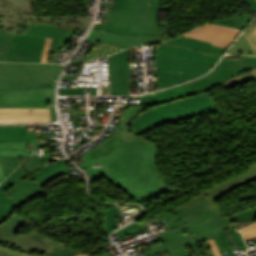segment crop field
<instances>
[{"instance_id": "8a807250", "label": "crop field", "mask_w": 256, "mask_h": 256, "mask_svg": "<svg viewBox=\"0 0 256 256\" xmlns=\"http://www.w3.org/2000/svg\"><path fill=\"white\" fill-rule=\"evenodd\" d=\"M144 109L127 108L113 135L85 153L82 157L86 161L79 164L83 169L101 164L102 167L86 170L91 182L103 176L140 203L170 190L157 166L155 144L132 135L129 126L131 119Z\"/></svg>"}, {"instance_id": "ac0d7876", "label": "crop field", "mask_w": 256, "mask_h": 256, "mask_svg": "<svg viewBox=\"0 0 256 256\" xmlns=\"http://www.w3.org/2000/svg\"><path fill=\"white\" fill-rule=\"evenodd\" d=\"M170 6L148 5V0H111L105 26L94 25L86 40L127 46L159 42V11Z\"/></svg>"}, {"instance_id": "34b2d1b8", "label": "crop field", "mask_w": 256, "mask_h": 256, "mask_svg": "<svg viewBox=\"0 0 256 256\" xmlns=\"http://www.w3.org/2000/svg\"><path fill=\"white\" fill-rule=\"evenodd\" d=\"M219 58L220 56L160 43L156 49L157 88L191 80L212 68Z\"/></svg>"}, {"instance_id": "412701ff", "label": "crop field", "mask_w": 256, "mask_h": 256, "mask_svg": "<svg viewBox=\"0 0 256 256\" xmlns=\"http://www.w3.org/2000/svg\"><path fill=\"white\" fill-rule=\"evenodd\" d=\"M218 111L208 92L150 107L133 118V134L140 135L159 125Z\"/></svg>"}, {"instance_id": "f4fd0767", "label": "crop field", "mask_w": 256, "mask_h": 256, "mask_svg": "<svg viewBox=\"0 0 256 256\" xmlns=\"http://www.w3.org/2000/svg\"><path fill=\"white\" fill-rule=\"evenodd\" d=\"M256 221V208L244 211L235 216L226 218L222 216L208 222L194 221L177 229L169 230L157 236L166 242L151 247L154 254L177 248L183 245L193 244L209 239L218 238L216 231L238 227L241 229Z\"/></svg>"}, {"instance_id": "dd49c442", "label": "crop field", "mask_w": 256, "mask_h": 256, "mask_svg": "<svg viewBox=\"0 0 256 256\" xmlns=\"http://www.w3.org/2000/svg\"><path fill=\"white\" fill-rule=\"evenodd\" d=\"M256 79V57L239 59L223 58L222 61L206 76L183 84L190 95L207 91L220 84L225 88Z\"/></svg>"}, {"instance_id": "e52e79f7", "label": "crop field", "mask_w": 256, "mask_h": 256, "mask_svg": "<svg viewBox=\"0 0 256 256\" xmlns=\"http://www.w3.org/2000/svg\"><path fill=\"white\" fill-rule=\"evenodd\" d=\"M32 0H0V31L26 34L27 23H62L88 27L86 18H34Z\"/></svg>"}, {"instance_id": "d8731c3e", "label": "crop field", "mask_w": 256, "mask_h": 256, "mask_svg": "<svg viewBox=\"0 0 256 256\" xmlns=\"http://www.w3.org/2000/svg\"><path fill=\"white\" fill-rule=\"evenodd\" d=\"M26 223H28L27 220L12 212L10 216L0 224V244L24 253H29V251L33 250H37L38 252L40 250H45L46 255L54 251L57 247L63 245L35 230L15 235V233Z\"/></svg>"}, {"instance_id": "5a996713", "label": "crop field", "mask_w": 256, "mask_h": 256, "mask_svg": "<svg viewBox=\"0 0 256 256\" xmlns=\"http://www.w3.org/2000/svg\"><path fill=\"white\" fill-rule=\"evenodd\" d=\"M62 65L0 63V82L56 80Z\"/></svg>"}, {"instance_id": "3316defc", "label": "crop field", "mask_w": 256, "mask_h": 256, "mask_svg": "<svg viewBox=\"0 0 256 256\" xmlns=\"http://www.w3.org/2000/svg\"><path fill=\"white\" fill-rule=\"evenodd\" d=\"M54 87L32 90L0 92V107H50L51 122L56 119ZM12 104V105H11Z\"/></svg>"}, {"instance_id": "28ad6ade", "label": "crop field", "mask_w": 256, "mask_h": 256, "mask_svg": "<svg viewBox=\"0 0 256 256\" xmlns=\"http://www.w3.org/2000/svg\"><path fill=\"white\" fill-rule=\"evenodd\" d=\"M45 39L13 34L5 61L41 62Z\"/></svg>"}, {"instance_id": "d1516ede", "label": "crop field", "mask_w": 256, "mask_h": 256, "mask_svg": "<svg viewBox=\"0 0 256 256\" xmlns=\"http://www.w3.org/2000/svg\"><path fill=\"white\" fill-rule=\"evenodd\" d=\"M172 211L186 223L197 219L205 222L223 215L220 208L205 197L203 193Z\"/></svg>"}, {"instance_id": "22f410ed", "label": "crop field", "mask_w": 256, "mask_h": 256, "mask_svg": "<svg viewBox=\"0 0 256 256\" xmlns=\"http://www.w3.org/2000/svg\"><path fill=\"white\" fill-rule=\"evenodd\" d=\"M111 95L129 94L128 49L109 56Z\"/></svg>"}, {"instance_id": "cbeb9de0", "label": "crop field", "mask_w": 256, "mask_h": 256, "mask_svg": "<svg viewBox=\"0 0 256 256\" xmlns=\"http://www.w3.org/2000/svg\"><path fill=\"white\" fill-rule=\"evenodd\" d=\"M239 30L229 29L217 25L205 24L185 35L195 39L212 42L213 45L227 48Z\"/></svg>"}, {"instance_id": "5142ce71", "label": "crop field", "mask_w": 256, "mask_h": 256, "mask_svg": "<svg viewBox=\"0 0 256 256\" xmlns=\"http://www.w3.org/2000/svg\"><path fill=\"white\" fill-rule=\"evenodd\" d=\"M32 110V112H30ZM50 122L49 108L14 109L0 108V123Z\"/></svg>"}, {"instance_id": "d9b57169", "label": "crop field", "mask_w": 256, "mask_h": 256, "mask_svg": "<svg viewBox=\"0 0 256 256\" xmlns=\"http://www.w3.org/2000/svg\"><path fill=\"white\" fill-rule=\"evenodd\" d=\"M74 31L55 24H28L27 34L52 38L50 50L58 52Z\"/></svg>"}, {"instance_id": "733c2abd", "label": "crop field", "mask_w": 256, "mask_h": 256, "mask_svg": "<svg viewBox=\"0 0 256 256\" xmlns=\"http://www.w3.org/2000/svg\"><path fill=\"white\" fill-rule=\"evenodd\" d=\"M12 175L16 184L12 186L10 189H8L6 192L9 198L19 206L25 203L27 199L33 196L46 193L43 191L40 185L34 183L35 181L31 182L29 180H26V181L20 182V179L16 171H14Z\"/></svg>"}, {"instance_id": "4a817a6b", "label": "crop field", "mask_w": 256, "mask_h": 256, "mask_svg": "<svg viewBox=\"0 0 256 256\" xmlns=\"http://www.w3.org/2000/svg\"><path fill=\"white\" fill-rule=\"evenodd\" d=\"M256 180V164L250 166L247 173L234 177L230 180H227L213 188L208 189L204 192L205 196H207L211 201L216 200L221 197L225 193L237 188L238 186Z\"/></svg>"}, {"instance_id": "bc2a9ffb", "label": "crop field", "mask_w": 256, "mask_h": 256, "mask_svg": "<svg viewBox=\"0 0 256 256\" xmlns=\"http://www.w3.org/2000/svg\"><path fill=\"white\" fill-rule=\"evenodd\" d=\"M161 43L191 48V49H195L198 51L212 53V54H216V55H220V56H222L223 52L225 51V49L219 48L216 46H212L208 42H204L201 40H195V39H191L188 37H186V38L178 37L176 39L164 41Z\"/></svg>"}, {"instance_id": "214f88e0", "label": "crop field", "mask_w": 256, "mask_h": 256, "mask_svg": "<svg viewBox=\"0 0 256 256\" xmlns=\"http://www.w3.org/2000/svg\"><path fill=\"white\" fill-rule=\"evenodd\" d=\"M34 140V134H26L25 126H0V142Z\"/></svg>"}, {"instance_id": "92a150f3", "label": "crop field", "mask_w": 256, "mask_h": 256, "mask_svg": "<svg viewBox=\"0 0 256 256\" xmlns=\"http://www.w3.org/2000/svg\"><path fill=\"white\" fill-rule=\"evenodd\" d=\"M151 106L178 98L188 97L182 85L146 95Z\"/></svg>"}, {"instance_id": "dafd665d", "label": "crop field", "mask_w": 256, "mask_h": 256, "mask_svg": "<svg viewBox=\"0 0 256 256\" xmlns=\"http://www.w3.org/2000/svg\"><path fill=\"white\" fill-rule=\"evenodd\" d=\"M14 184L12 175L0 184V223L8 217L13 209L18 207L5 193V191ZM6 204H8V206H6Z\"/></svg>"}, {"instance_id": "00972430", "label": "crop field", "mask_w": 256, "mask_h": 256, "mask_svg": "<svg viewBox=\"0 0 256 256\" xmlns=\"http://www.w3.org/2000/svg\"><path fill=\"white\" fill-rule=\"evenodd\" d=\"M125 48H128L127 46H121V45H114V44H108V43H102L98 42L90 56L88 57V60L92 59H99L106 57L110 54L116 53L118 51H121Z\"/></svg>"}, {"instance_id": "a9b5d70f", "label": "crop field", "mask_w": 256, "mask_h": 256, "mask_svg": "<svg viewBox=\"0 0 256 256\" xmlns=\"http://www.w3.org/2000/svg\"><path fill=\"white\" fill-rule=\"evenodd\" d=\"M55 82L56 81L22 82V83H0V91L51 87V86L55 85Z\"/></svg>"}, {"instance_id": "4177f3b9", "label": "crop field", "mask_w": 256, "mask_h": 256, "mask_svg": "<svg viewBox=\"0 0 256 256\" xmlns=\"http://www.w3.org/2000/svg\"><path fill=\"white\" fill-rule=\"evenodd\" d=\"M250 18H251V15L246 14L241 16H235L232 18L215 20L213 21V23L218 25H224V26H230V27L242 29L243 26L246 24V22L250 20Z\"/></svg>"}, {"instance_id": "730fd06b", "label": "crop field", "mask_w": 256, "mask_h": 256, "mask_svg": "<svg viewBox=\"0 0 256 256\" xmlns=\"http://www.w3.org/2000/svg\"><path fill=\"white\" fill-rule=\"evenodd\" d=\"M103 214L105 218L106 230L109 235V233L118 228L115 218H119L122 216L116 206L106 211H103Z\"/></svg>"}, {"instance_id": "eef30255", "label": "crop field", "mask_w": 256, "mask_h": 256, "mask_svg": "<svg viewBox=\"0 0 256 256\" xmlns=\"http://www.w3.org/2000/svg\"><path fill=\"white\" fill-rule=\"evenodd\" d=\"M70 169L65 165L49 172L48 174L42 176L41 178H39L38 180H36L35 182L40 184L41 186H43L44 184L54 180L55 178L69 172ZM45 186V185H44Z\"/></svg>"}, {"instance_id": "ae1a2a85", "label": "crop field", "mask_w": 256, "mask_h": 256, "mask_svg": "<svg viewBox=\"0 0 256 256\" xmlns=\"http://www.w3.org/2000/svg\"><path fill=\"white\" fill-rule=\"evenodd\" d=\"M229 54H239V55H254L252 49L246 40L245 36H243L233 47Z\"/></svg>"}, {"instance_id": "d3111659", "label": "crop field", "mask_w": 256, "mask_h": 256, "mask_svg": "<svg viewBox=\"0 0 256 256\" xmlns=\"http://www.w3.org/2000/svg\"><path fill=\"white\" fill-rule=\"evenodd\" d=\"M218 234L220 238L215 239V242L219 245L220 248H226L228 256H235L224 230L218 231Z\"/></svg>"}, {"instance_id": "750c4746", "label": "crop field", "mask_w": 256, "mask_h": 256, "mask_svg": "<svg viewBox=\"0 0 256 256\" xmlns=\"http://www.w3.org/2000/svg\"><path fill=\"white\" fill-rule=\"evenodd\" d=\"M12 34H5L0 32V61H4L8 45L10 43Z\"/></svg>"}, {"instance_id": "bd1437ed", "label": "crop field", "mask_w": 256, "mask_h": 256, "mask_svg": "<svg viewBox=\"0 0 256 256\" xmlns=\"http://www.w3.org/2000/svg\"><path fill=\"white\" fill-rule=\"evenodd\" d=\"M66 162H68L66 159H61V160H59V161H57V162H55V163H53V164H51V165H49L45 168L33 173L32 175H30L28 177L33 179V180H36L37 178L41 177L42 175L48 173L49 171L55 169L56 167L66 163Z\"/></svg>"}, {"instance_id": "1d83c4d3", "label": "crop field", "mask_w": 256, "mask_h": 256, "mask_svg": "<svg viewBox=\"0 0 256 256\" xmlns=\"http://www.w3.org/2000/svg\"><path fill=\"white\" fill-rule=\"evenodd\" d=\"M145 230L142 226L140 225H136V224H130L128 226H126L125 228H123L122 230H120L119 232H117V236L118 238L133 234V233H137L140 231Z\"/></svg>"}, {"instance_id": "120bbe31", "label": "crop field", "mask_w": 256, "mask_h": 256, "mask_svg": "<svg viewBox=\"0 0 256 256\" xmlns=\"http://www.w3.org/2000/svg\"><path fill=\"white\" fill-rule=\"evenodd\" d=\"M22 148H26V142L0 143V150L22 151Z\"/></svg>"}, {"instance_id": "d32e631a", "label": "crop field", "mask_w": 256, "mask_h": 256, "mask_svg": "<svg viewBox=\"0 0 256 256\" xmlns=\"http://www.w3.org/2000/svg\"><path fill=\"white\" fill-rule=\"evenodd\" d=\"M246 37L256 55V24L254 23L252 27L246 32Z\"/></svg>"}, {"instance_id": "5866460e", "label": "crop field", "mask_w": 256, "mask_h": 256, "mask_svg": "<svg viewBox=\"0 0 256 256\" xmlns=\"http://www.w3.org/2000/svg\"><path fill=\"white\" fill-rule=\"evenodd\" d=\"M76 254H79V253L71 250L70 248H68L67 246L64 245V246L56 249L54 252H52L48 256H74ZM43 256H45V255H43Z\"/></svg>"}, {"instance_id": "028f5c9d", "label": "crop field", "mask_w": 256, "mask_h": 256, "mask_svg": "<svg viewBox=\"0 0 256 256\" xmlns=\"http://www.w3.org/2000/svg\"><path fill=\"white\" fill-rule=\"evenodd\" d=\"M244 240L256 238V223H253L241 230Z\"/></svg>"}, {"instance_id": "e1f06a70", "label": "crop field", "mask_w": 256, "mask_h": 256, "mask_svg": "<svg viewBox=\"0 0 256 256\" xmlns=\"http://www.w3.org/2000/svg\"><path fill=\"white\" fill-rule=\"evenodd\" d=\"M0 256H33L31 254H24L16 250L10 249L3 245H0Z\"/></svg>"}, {"instance_id": "0bd39190", "label": "crop field", "mask_w": 256, "mask_h": 256, "mask_svg": "<svg viewBox=\"0 0 256 256\" xmlns=\"http://www.w3.org/2000/svg\"><path fill=\"white\" fill-rule=\"evenodd\" d=\"M229 230H230V232H231V234H232V236H233V238H234V240L236 242V245L237 246L241 245L243 251H245L247 249V247H246V245H245V243H244L240 233L239 232L236 233L234 228L229 229Z\"/></svg>"}, {"instance_id": "b80d0937", "label": "crop field", "mask_w": 256, "mask_h": 256, "mask_svg": "<svg viewBox=\"0 0 256 256\" xmlns=\"http://www.w3.org/2000/svg\"><path fill=\"white\" fill-rule=\"evenodd\" d=\"M60 95H83V88L59 89Z\"/></svg>"}, {"instance_id": "c035e120", "label": "crop field", "mask_w": 256, "mask_h": 256, "mask_svg": "<svg viewBox=\"0 0 256 256\" xmlns=\"http://www.w3.org/2000/svg\"><path fill=\"white\" fill-rule=\"evenodd\" d=\"M183 224H185V222L176 216V217L172 218L169 222L165 223L164 225L171 229H174Z\"/></svg>"}, {"instance_id": "c21b1889", "label": "crop field", "mask_w": 256, "mask_h": 256, "mask_svg": "<svg viewBox=\"0 0 256 256\" xmlns=\"http://www.w3.org/2000/svg\"><path fill=\"white\" fill-rule=\"evenodd\" d=\"M169 252L171 256H190L185 246L170 250Z\"/></svg>"}, {"instance_id": "03da06ac", "label": "crop field", "mask_w": 256, "mask_h": 256, "mask_svg": "<svg viewBox=\"0 0 256 256\" xmlns=\"http://www.w3.org/2000/svg\"><path fill=\"white\" fill-rule=\"evenodd\" d=\"M32 153L27 152H18V151H0V155H9V156H22L27 157L31 155Z\"/></svg>"}, {"instance_id": "b54c1fbb", "label": "crop field", "mask_w": 256, "mask_h": 256, "mask_svg": "<svg viewBox=\"0 0 256 256\" xmlns=\"http://www.w3.org/2000/svg\"><path fill=\"white\" fill-rule=\"evenodd\" d=\"M50 44H51V39L47 38L46 43H45V47H44L42 62H47Z\"/></svg>"}, {"instance_id": "5d738f31", "label": "crop field", "mask_w": 256, "mask_h": 256, "mask_svg": "<svg viewBox=\"0 0 256 256\" xmlns=\"http://www.w3.org/2000/svg\"><path fill=\"white\" fill-rule=\"evenodd\" d=\"M0 164L5 177L10 173L4 156H0Z\"/></svg>"}, {"instance_id": "d23c7cc5", "label": "crop field", "mask_w": 256, "mask_h": 256, "mask_svg": "<svg viewBox=\"0 0 256 256\" xmlns=\"http://www.w3.org/2000/svg\"><path fill=\"white\" fill-rule=\"evenodd\" d=\"M173 32L167 26H160V36L168 39Z\"/></svg>"}, {"instance_id": "425ffa30", "label": "crop field", "mask_w": 256, "mask_h": 256, "mask_svg": "<svg viewBox=\"0 0 256 256\" xmlns=\"http://www.w3.org/2000/svg\"><path fill=\"white\" fill-rule=\"evenodd\" d=\"M208 243H209L213 253L215 254V256H221L219 251H218V249H217L216 244L214 243V241L213 240H209Z\"/></svg>"}, {"instance_id": "25e5ab78", "label": "crop field", "mask_w": 256, "mask_h": 256, "mask_svg": "<svg viewBox=\"0 0 256 256\" xmlns=\"http://www.w3.org/2000/svg\"><path fill=\"white\" fill-rule=\"evenodd\" d=\"M16 171H17V173H18V175L20 176L21 179L27 176L26 173H25V171H24V169H23V167H22V165H20V166L16 169Z\"/></svg>"}, {"instance_id": "73cf0c24", "label": "crop field", "mask_w": 256, "mask_h": 256, "mask_svg": "<svg viewBox=\"0 0 256 256\" xmlns=\"http://www.w3.org/2000/svg\"><path fill=\"white\" fill-rule=\"evenodd\" d=\"M248 4L251 6V8L256 11V0H246Z\"/></svg>"}, {"instance_id": "89e229c0", "label": "crop field", "mask_w": 256, "mask_h": 256, "mask_svg": "<svg viewBox=\"0 0 256 256\" xmlns=\"http://www.w3.org/2000/svg\"><path fill=\"white\" fill-rule=\"evenodd\" d=\"M5 157H6L8 166H9V168H10V171H12V170L14 169L13 163H12V159H11V157H9V156H5Z\"/></svg>"}, {"instance_id": "1f2cbd36", "label": "crop field", "mask_w": 256, "mask_h": 256, "mask_svg": "<svg viewBox=\"0 0 256 256\" xmlns=\"http://www.w3.org/2000/svg\"><path fill=\"white\" fill-rule=\"evenodd\" d=\"M191 246H192V248H193V250H194L196 256H202V254H201L199 248L196 246V244H193V245H191Z\"/></svg>"}, {"instance_id": "dbb93151", "label": "crop field", "mask_w": 256, "mask_h": 256, "mask_svg": "<svg viewBox=\"0 0 256 256\" xmlns=\"http://www.w3.org/2000/svg\"><path fill=\"white\" fill-rule=\"evenodd\" d=\"M139 99H140V101L142 102L143 105H145V106L150 105L146 96H141V97H139Z\"/></svg>"}, {"instance_id": "0fb4a251", "label": "crop field", "mask_w": 256, "mask_h": 256, "mask_svg": "<svg viewBox=\"0 0 256 256\" xmlns=\"http://www.w3.org/2000/svg\"><path fill=\"white\" fill-rule=\"evenodd\" d=\"M12 158H13L14 166L16 168L20 164V162L17 157H12Z\"/></svg>"}, {"instance_id": "1d79db26", "label": "crop field", "mask_w": 256, "mask_h": 256, "mask_svg": "<svg viewBox=\"0 0 256 256\" xmlns=\"http://www.w3.org/2000/svg\"><path fill=\"white\" fill-rule=\"evenodd\" d=\"M149 4H157V5H159V0H149Z\"/></svg>"}, {"instance_id": "9d1cf04e", "label": "crop field", "mask_w": 256, "mask_h": 256, "mask_svg": "<svg viewBox=\"0 0 256 256\" xmlns=\"http://www.w3.org/2000/svg\"><path fill=\"white\" fill-rule=\"evenodd\" d=\"M4 178H5V177H4V175H3L2 171H1V167H0V183H1V181H2Z\"/></svg>"}, {"instance_id": "447ae74e", "label": "crop field", "mask_w": 256, "mask_h": 256, "mask_svg": "<svg viewBox=\"0 0 256 256\" xmlns=\"http://www.w3.org/2000/svg\"><path fill=\"white\" fill-rule=\"evenodd\" d=\"M91 95H96V88H91Z\"/></svg>"}, {"instance_id": "0765c3eb", "label": "crop field", "mask_w": 256, "mask_h": 256, "mask_svg": "<svg viewBox=\"0 0 256 256\" xmlns=\"http://www.w3.org/2000/svg\"><path fill=\"white\" fill-rule=\"evenodd\" d=\"M99 256H110L106 251L100 254Z\"/></svg>"}, {"instance_id": "db79e9e6", "label": "crop field", "mask_w": 256, "mask_h": 256, "mask_svg": "<svg viewBox=\"0 0 256 256\" xmlns=\"http://www.w3.org/2000/svg\"><path fill=\"white\" fill-rule=\"evenodd\" d=\"M76 256H83V255H76ZM88 256V255H87Z\"/></svg>"}, {"instance_id": "7b73153f", "label": "crop field", "mask_w": 256, "mask_h": 256, "mask_svg": "<svg viewBox=\"0 0 256 256\" xmlns=\"http://www.w3.org/2000/svg\"><path fill=\"white\" fill-rule=\"evenodd\" d=\"M256 23V22H255Z\"/></svg>"}]
</instances>
